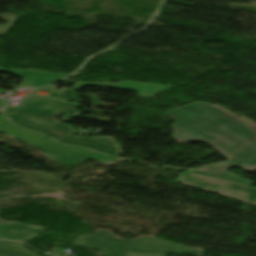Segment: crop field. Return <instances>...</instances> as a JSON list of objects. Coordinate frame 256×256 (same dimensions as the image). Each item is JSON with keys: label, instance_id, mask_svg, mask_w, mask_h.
<instances>
[{"label": "crop field", "instance_id": "8a807250", "mask_svg": "<svg viewBox=\"0 0 256 256\" xmlns=\"http://www.w3.org/2000/svg\"><path fill=\"white\" fill-rule=\"evenodd\" d=\"M166 116L176 123L174 139L181 143L201 141L209 143L217 151L229 158L228 162L206 166L195 172L210 176L233 179L251 185L249 180L238 179L228 174L231 167L256 170V123H249L219 106L195 102L166 112ZM244 164V166H239Z\"/></svg>", "mask_w": 256, "mask_h": 256}, {"label": "crop field", "instance_id": "ac0d7876", "mask_svg": "<svg viewBox=\"0 0 256 256\" xmlns=\"http://www.w3.org/2000/svg\"><path fill=\"white\" fill-rule=\"evenodd\" d=\"M34 99V101H31ZM80 105L63 103L54 99L31 95L15 109L8 106L2 110L5 118L14 124L70 145H79L104 152L113 157L120 155L119 148L111 137H78L71 135L70 125L57 123L56 117L69 109H77ZM58 110V113L55 111Z\"/></svg>", "mask_w": 256, "mask_h": 256}, {"label": "crop field", "instance_id": "34b2d1b8", "mask_svg": "<svg viewBox=\"0 0 256 256\" xmlns=\"http://www.w3.org/2000/svg\"><path fill=\"white\" fill-rule=\"evenodd\" d=\"M76 245L97 250L100 256H124L127 251L191 254L201 256L202 249L187 248L151 237H141L136 240L115 238L111 232L98 230L91 236L78 238Z\"/></svg>", "mask_w": 256, "mask_h": 256}, {"label": "crop field", "instance_id": "412701ff", "mask_svg": "<svg viewBox=\"0 0 256 256\" xmlns=\"http://www.w3.org/2000/svg\"><path fill=\"white\" fill-rule=\"evenodd\" d=\"M0 132L10 134L23 142L44 150L51 159L64 165H73L89 158L104 162L108 165L115 161L113 158L82 148L61 146L40 135L20 130L2 118H0Z\"/></svg>", "mask_w": 256, "mask_h": 256}, {"label": "crop field", "instance_id": "f4fd0767", "mask_svg": "<svg viewBox=\"0 0 256 256\" xmlns=\"http://www.w3.org/2000/svg\"><path fill=\"white\" fill-rule=\"evenodd\" d=\"M179 182L203 190L224 194L256 205V189L198 174H180Z\"/></svg>", "mask_w": 256, "mask_h": 256}, {"label": "crop field", "instance_id": "dd49c442", "mask_svg": "<svg viewBox=\"0 0 256 256\" xmlns=\"http://www.w3.org/2000/svg\"><path fill=\"white\" fill-rule=\"evenodd\" d=\"M0 72L12 73L13 75L19 76L24 79V81L16 88V90L29 87L45 86L67 76L62 74L25 70L12 71L0 69Z\"/></svg>", "mask_w": 256, "mask_h": 256}, {"label": "crop field", "instance_id": "e52e79f7", "mask_svg": "<svg viewBox=\"0 0 256 256\" xmlns=\"http://www.w3.org/2000/svg\"><path fill=\"white\" fill-rule=\"evenodd\" d=\"M46 229L36 228L18 223H0V237L24 242Z\"/></svg>", "mask_w": 256, "mask_h": 256}, {"label": "crop field", "instance_id": "d8731c3e", "mask_svg": "<svg viewBox=\"0 0 256 256\" xmlns=\"http://www.w3.org/2000/svg\"><path fill=\"white\" fill-rule=\"evenodd\" d=\"M13 244H16L13 246ZM20 245V246H17ZM0 254L5 256H38L23 248V244H17L0 240Z\"/></svg>", "mask_w": 256, "mask_h": 256}, {"label": "crop field", "instance_id": "5a996713", "mask_svg": "<svg viewBox=\"0 0 256 256\" xmlns=\"http://www.w3.org/2000/svg\"><path fill=\"white\" fill-rule=\"evenodd\" d=\"M2 106H4V105L0 104V108H1Z\"/></svg>", "mask_w": 256, "mask_h": 256}]
</instances>
